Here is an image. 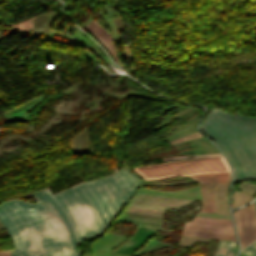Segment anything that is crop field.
<instances>
[{
	"label": "crop field",
	"instance_id": "1",
	"mask_svg": "<svg viewBox=\"0 0 256 256\" xmlns=\"http://www.w3.org/2000/svg\"><path fill=\"white\" fill-rule=\"evenodd\" d=\"M140 179L128 168L52 195L31 192L37 204L17 199L0 205L15 250L12 256H80L76 246L100 236L122 210Z\"/></svg>",
	"mask_w": 256,
	"mask_h": 256
},
{
	"label": "crop field",
	"instance_id": "2",
	"mask_svg": "<svg viewBox=\"0 0 256 256\" xmlns=\"http://www.w3.org/2000/svg\"><path fill=\"white\" fill-rule=\"evenodd\" d=\"M201 130L221 147L233 168L234 183L256 178V117L212 109Z\"/></svg>",
	"mask_w": 256,
	"mask_h": 256
},
{
	"label": "crop field",
	"instance_id": "3",
	"mask_svg": "<svg viewBox=\"0 0 256 256\" xmlns=\"http://www.w3.org/2000/svg\"><path fill=\"white\" fill-rule=\"evenodd\" d=\"M144 179L189 175L200 182L201 211L216 213L212 191L217 182H230V170L223 156L191 158L159 165L133 168Z\"/></svg>",
	"mask_w": 256,
	"mask_h": 256
},
{
	"label": "crop field",
	"instance_id": "4",
	"mask_svg": "<svg viewBox=\"0 0 256 256\" xmlns=\"http://www.w3.org/2000/svg\"><path fill=\"white\" fill-rule=\"evenodd\" d=\"M241 249L256 238V213L254 204L243 207L233 213Z\"/></svg>",
	"mask_w": 256,
	"mask_h": 256
},
{
	"label": "crop field",
	"instance_id": "5",
	"mask_svg": "<svg viewBox=\"0 0 256 256\" xmlns=\"http://www.w3.org/2000/svg\"><path fill=\"white\" fill-rule=\"evenodd\" d=\"M184 229L234 234L230 220L201 216L186 222Z\"/></svg>",
	"mask_w": 256,
	"mask_h": 256
},
{
	"label": "crop field",
	"instance_id": "6",
	"mask_svg": "<svg viewBox=\"0 0 256 256\" xmlns=\"http://www.w3.org/2000/svg\"><path fill=\"white\" fill-rule=\"evenodd\" d=\"M83 28L104 46L115 62L119 61L117 59V52L114 43L109 33L97 21L92 19V21Z\"/></svg>",
	"mask_w": 256,
	"mask_h": 256
},
{
	"label": "crop field",
	"instance_id": "7",
	"mask_svg": "<svg viewBox=\"0 0 256 256\" xmlns=\"http://www.w3.org/2000/svg\"><path fill=\"white\" fill-rule=\"evenodd\" d=\"M235 253V242L220 241L214 256H234Z\"/></svg>",
	"mask_w": 256,
	"mask_h": 256
},
{
	"label": "crop field",
	"instance_id": "8",
	"mask_svg": "<svg viewBox=\"0 0 256 256\" xmlns=\"http://www.w3.org/2000/svg\"><path fill=\"white\" fill-rule=\"evenodd\" d=\"M183 235L235 240L234 235L184 230Z\"/></svg>",
	"mask_w": 256,
	"mask_h": 256
},
{
	"label": "crop field",
	"instance_id": "9",
	"mask_svg": "<svg viewBox=\"0 0 256 256\" xmlns=\"http://www.w3.org/2000/svg\"><path fill=\"white\" fill-rule=\"evenodd\" d=\"M215 155H221V153L208 154V155L177 156V157L165 158V159H163V161L173 160V159H181V158H188V157L215 156Z\"/></svg>",
	"mask_w": 256,
	"mask_h": 256
},
{
	"label": "crop field",
	"instance_id": "10",
	"mask_svg": "<svg viewBox=\"0 0 256 256\" xmlns=\"http://www.w3.org/2000/svg\"><path fill=\"white\" fill-rule=\"evenodd\" d=\"M241 252H243L244 254H246L247 256H256V251L254 249H252L251 247H246L244 250H242Z\"/></svg>",
	"mask_w": 256,
	"mask_h": 256
},
{
	"label": "crop field",
	"instance_id": "11",
	"mask_svg": "<svg viewBox=\"0 0 256 256\" xmlns=\"http://www.w3.org/2000/svg\"><path fill=\"white\" fill-rule=\"evenodd\" d=\"M0 256H10V253L8 250L0 252Z\"/></svg>",
	"mask_w": 256,
	"mask_h": 256
},
{
	"label": "crop field",
	"instance_id": "12",
	"mask_svg": "<svg viewBox=\"0 0 256 256\" xmlns=\"http://www.w3.org/2000/svg\"><path fill=\"white\" fill-rule=\"evenodd\" d=\"M249 246H251L252 248H254L256 250V240L252 244H250Z\"/></svg>",
	"mask_w": 256,
	"mask_h": 256
},
{
	"label": "crop field",
	"instance_id": "13",
	"mask_svg": "<svg viewBox=\"0 0 256 256\" xmlns=\"http://www.w3.org/2000/svg\"><path fill=\"white\" fill-rule=\"evenodd\" d=\"M239 256H246V255H244L243 253H240V255Z\"/></svg>",
	"mask_w": 256,
	"mask_h": 256
},
{
	"label": "crop field",
	"instance_id": "14",
	"mask_svg": "<svg viewBox=\"0 0 256 256\" xmlns=\"http://www.w3.org/2000/svg\"><path fill=\"white\" fill-rule=\"evenodd\" d=\"M254 204H255V209H256V200L254 201Z\"/></svg>",
	"mask_w": 256,
	"mask_h": 256
},
{
	"label": "crop field",
	"instance_id": "15",
	"mask_svg": "<svg viewBox=\"0 0 256 256\" xmlns=\"http://www.w3.org/2000/svg\"><path fill=\"white\" fill-rule=\"evenodd\" d=\"M2 130L0 129V132H1Z\"/></svg>",
	"mask_w": 256,
	"mask_h": 256
}]
</instances>
